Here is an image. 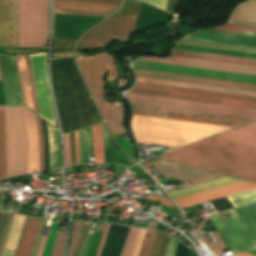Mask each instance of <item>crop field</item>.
<instances>
[{
	"label": "crop field",
	"mask_w": 256,
	"mask_h": 256,
	"mask_svg": "<svg viewBox=\"0 0 256 256\" xmlns=\"http://www.w3.org/2000/svg\"><path fill=\"white\" fill-rule=\"evenodd\" d=\"M159 157L256 182V148L207 138Z\"/></svg>",
	"instance_id": "1"
},
{
	"label": "crop field",
	"mask_w": 256,
	"mask_h": 256,
	"mask_svg": "<svg viewBox=\"0 0 256 256\" xmlns=\"http://www.w3.org/2000/svg\"><path fill=\"white\" fill-rule=\"evenodd\" d=\"M230 127L133 115L132 131L137 142L179 147Z\"/></svg>",
	"instance_id": "2"
},
{
	"label": "crop field",
	"mask_w": 256,
	"mask_h": 256,
	"mask_svg": "<svg viewBox=\"0 0 256 256\" xmlns=\"http://www.w3.org/2000/svg\"><path fill=\"white\" fill-rule=\"evenodd\" d=\"M76 59L112 136L127 132L122 126L125 112L121 103L108 104L102 97L105 87V81H102V77L108 70L107 82L119 76L113 57L101 53L94 57H76Z\"/></svg>",
	"instance_id": "3"
},
{
	"label": "crop field",
	"mask_w": 256,
	"mask_h": 256,
	"mask_svg": "<svg viewBox=\"0 0 256 256\" xmlns=\"http://www.w3.org/2000/svg\"><path fill=\"white\" fill-rule=\"evenodd\" d=\"M19 47L46 46L47 0H18Z\"/></svg>",
	"instance_id": "4"
},
{
	"label": "crop field",
	"mask_w": 256,
	"mask_h": 256,
	"mask_svg": "<svg viewBox=\"0 0 256 256\" xmlns=\"http://www.w3.org/2000/svg\"><path fill=\"white\" fill-rule=\"evenodd\" d=\"M130 93L186 99L193 101L247 107L256 110V99L245 96L136 83Z\"/></svg>",
	"instance_id": "5"
},
{
	"label": "crop field",
	"mask_w": 256,
	"mask_h": 256,
	"mask_svg": "<svg viewBox=\"0 0 256 256\" xmlns=\"http://www.w3.org/2000/svg\"><path fill=\"white\" fill-rule=\"evenodd\" d=\"M7 178L26 174L25 136L19 107H6Z\"/></svg>",
	"instance_id": "6"
},
{
	"label": "crop field",
	"mask_w": 256,
	"mask_h": 256,
	"mask_svg": "<svg viewBox=\"0 0 256 256\" xmlns=\"http://www.w3.org/2000/svg\"><path fill=\"white\" fill-rule=\"evenodd\" d=\"M127 96L129 97L130 101L135 104L237 116V117H242L250 120L256 119V111L246 109V108H241V107L185 101V100L130 94V93H127Z\"/></svg>",
	"instance_id": "7"
},
{
	"label": "crop field",
	"mask_w": 256,
	"mask_h": 256,
	"mask_svg": "<svg viewBox=\"0 0 256 256\" xmlns=\"http://www.w3.org/2000/svg\"><path fill=\"white\" fill-rule=\"evenodd\" d=\"M136 14L113 17L85 34L80 44L90 48H107L113 41L126 43L133 35Z\"/></svg>",
	"instance_id": "8"
},
{
	"label": "crop field",
	"mask_w": 256,
	"mask_h": 256,
	"mask_svg": "<svg viewBox=\"0 0 256 256\" xmlns=\"http://www.w3.org/2000/svg\"><path fill=\"white\" fill-rule=\"evenodd\" d=\"M132 105H133V112L134 114H137V115L153 116V117L184 120V121L207 123V124L230 126V127H235L237 125L250 121V120L237 118V117L213 115V114H206V113L182 111V110L135 105V104H132Z\"/></svg>",
	"instance_id": "9"
},
{
	"label": "crop field",
	"mask_w": 256,
	"mask_h": 256,
	"mask_svg": "<svg viewBox=\"0 0 256 256\" xmlns=\"http://www.w3.org/2000/svg\"><path fill=\"white\" fill-rule=\"evenodd\" d=\"M29 56L31 60L40 117L55 125L52 102L48 86L46 53Z\"/></svg>",
	"instance_id": "10"
},
{
	"label": "crop field",
	"mask_w": 256,
	"mask_h": 256,
	"mask_svg": "<svg viewBox=\"0 0 256 256\" xmlns=\"http://www.w3.org/2000/svg\"><path fill=\"white\" fill-rule=\"evenodd\" d=\"M0 46L18 47L17 0H0Z\"/></svg>",
	"instance_id": "11"
},
{
	"label": "crop field",
	"mask_w": 256,
	"mask_h": 256,
	"mask_svg": "<svg viewBox=\"0 0 256 256\" xmlns=\"http://www.w3.org/2000/svg\"><path fill=\"white\" fill-rule=\"evenodd\" d=\"M139 60L256 75V67L214 62V61H206V60H199V59L172 56L170 59L145 57Z\"/></svg>",
	"instance_id": "12"
},
{
	"label": "crop field",
	"mask_w": 256,
	"mask_h": 256,
	"mask_svg": "<svg viewBox=\"0 0 256 256\" xmlns=\"http://www.w3.org/2000/svg\"><path fill=\"white\" fill-rule=\"evenodd\" d=\"M256 188L255 183L243 181L224 187L212 189L209 191L193 194L190 196L174 199L175 203L179 206L180 209L193 206L196 204L204 203L242 191L250 190Z\"/></svg>",
	"instance_id": "13"
},
{
	"label": "crop field",
	"mask_w": 256,
	"mask_h": 256,
	"mask_svg": "<svg viewBox=\"0 0 256 256\" xmlns=\"http://www.w3.org/2000/svg\"><path fill=\"white\" fill-rule=\"evenodd\" d=\"M136 76L256 92V85L133 69Z\"/></svg>",
	"instance_id": "14"
},
{
	"label": "crop field",
	"mask_w": 256,
	"mask_h": 256,
	"mask_svg": "<svg viewBox=\"0 0 256 256\" xmlns=\"http://www.w3.org/2000/svg\"><path fill=\"white\" fill-rule=\"evenodd\" d=\"M151 165L168 180L165 182H170L168 179L170 177H172L174 181L179 180L180 182H186L192 179L216 174L163 159L155 161L151 163Z\"/></svg>",
	"instance_id": "15"
},
{
	"label": "crop field",
	"mask_w": 256,
	"mask_h": 256,
	"mask_svg": "<svg viewBox=\"0 0 256 256\" xmlns=\"http://www.w3.org/2000/svg\"><path fill=\"white\" fill-rule=\"evenodd\" d=\"M184 38L256 48V37L254 36L223 33L212 30H200Z\"/></svg>",
	"instance_id": "16"
},
{
	"label": "crop field",
	"mask_w": 256,
	"mask_h": 256,
	"mask_svg": "<svg viewBox=\"0 0 256 256\" xmlns=\"http://www.w3.org/2000/svg\"><path fill=\"white\" fill-rule=\"evenodd\" d=\"M21 110L26 135L27 174H29L30 163L39 161V136L34 114L22 107Z\"/></svg>",
	"instance_id": "17"
},
{
	"label": "crop field",
	"mask_w": 256,
	"mask_h": 256,
	"mask_svg": "<svg viewBox=\"0 0 256 256\" xmlns=\"http://www.w3.org/2000/svg\"><path fill=\"white\" fill-rule=\"evenodd\" d=\"M41 221L40 219L26 218L15 256H31Z\"/></svg>",
	"instance_id": "18"
},
{
	"label": "crop field",
	"mask_w": 256,
	"mask_h": 256,
	"mask_svg": "<svg viewBox=\"0 0 256 256\" xmlns=\"http://www.w3.org/2000/svg\"><path fill=\"white\" fill-rule=\"evenodd\" d=\"M213 137L256 147V121L239 126Z\"/></svg>",
	"instance_id": "19"
},
{
	"label": "crop field",
	"mask_w": 256,
	"mask_h": 256,
	"mask_svg": "<svg viewBox=\"0 0 256 256\" xmlns=\"http://www.w3.org/2000/svg\"><path fill=\"white\" fill-rule=\"evenodd\" d=\"M128 228L111 225L101 256H120Z\"/></svg>",
	"instance_id": "20"
},
{
	"label": "crop field",
	"mask_w": 256,
	"mask_h": 256,
	"mask_svg": "<svg viewBox=\"0 0 256 256\" xmlns=\"http://www.w3.org/2000/svg\"><path fill=\"white\" fill-rule=\"evenodd\" d=\"M137 82L256 97V93L248 92V91L232 90V89L163 81V80H156V79L137 77Z\"/></svg>",
	"instance_id": "21"
},
{
	"label": "crop field",
	"mask_w": 256,
	"mask_h": 256,
	"mask_svg": "<svg viewBox=\"0 0 256 256\" xmlns=\"http://www.w3.org/2000/svg\"><path fill=\"white\" fill-rule=\"evenodd\" d=\"M54 9L112 13L118 5L53 0Z\"/></svg>",
	"instance_id": "22"
},
{
	"label": "crop field",
	"mask_w": 256,
	"mask_h": 256,
	"mask_svg": "<svg viewBox=\"0 0 256 256\" xmlns=\"http://www.w3.org/2000/svg\"><path fill=\"white\" fill-rule=\"evenodd\" d=\"M239 181H243V180H239V179H236L233 177L226 176V177H222V178H219L216 180L205 182V183H202L199 185H195V186H192L189 188L179 189V190H175L172 192H168V194L172 197V199H174V198L190 195L193 193L205 191L208 189L224 186V185L239 182Z\"/></svg>",
	"instance_id": "23"
},
{
	"label": "crop field",
	"mask_w": 256,
	"mask_h": 256,
	"mask_svg": "<svg viewBox=\"0 0 256 256\" xmlns=\"http://www.w3.org/2000/svg\"><path fill=\"white\" fill-rule=\"evenodd\" d=\"M172 55L256 66V60L172 49Z\"/></svg>",
	"instance_id": "24"
},
{
	"label": "crop field",
	"mask_w": 256,
	"mask_h": 256,
	"mask_svg": "<svg viewBox=\"0 0 256 256\" xmlns=\"http://www.w3.org/2000/svg\"><path fill=\"white\" fill-rule=\"evenodd\" d=\"M48 154H49V170L60 168L61 151L57 129L48 125Z\"/></svg>",
	"instance_id": "25"
},
{
	"label": "crop field",
	"mask_w": 256,
	"mask_h": 256,
	"mask_svg": "<svg viewBox=\"0 0 256 256\" xmlns=\"http://www.w3.org/2000/svg\"><path fill=\"white\" fill-rule=\"evenodd\" d=\"M102 126L104 137L105 163H117L125 166L129 165L131 161L127 159L125 155L113 145L103 123Z\"/></svg>",
	"instance_id": "26"
},
{
	"label": "crop field",
	"mask_w": 256,
	"mask_h": 256,
	"mask_svg": "<svg viewBox=\"0 0 256 256\" xmlns=\"http://www.w3.org/2000/svg\"><path fill=\"white\" fill-rule=\"evenodd\" d=\"M16 62H17L18 73H19V78H20V83H21V88L23 93L24 104L25 106L33 110V104H32V98H31V92H30V86L28 81L24 55H16Z\"/></svg>",
	"instance_id": "27"
},
{
	"label": "crop field",
	"mask_w": 256,
	"mask_h": 256,
	"mask_svg": "<svg viewBox=\"0 0 256 256\" xmlns=\"http://www.w3.org/2000/svg\"><path fill=\"white\" fill-rule=\"evenodd\" d=\"M0 179H6L5 107H0Z\"/></svg>",
	"instance_id": "28"
},
{
	"label": "crop field",
	"mask_w": 256,
	"mask_h": 256,
	"mask_svg": "<svg viewBox=\"0 0 256 256\" xmlns=\"http://www.w3.org/2000/svg\"><path fill=\"white\" fill-rule=\"evenodd\" d=\"M92 134L94 161L95 163H104L102 127L100 124L92 127Z\"/></svg>",
	"instance_id": "29"
},
{
	"label": "crop field",
	"mask_w": 256,
	"mask_h": 256,
	"mask_svg": "<svg viewBox=\"0 0 256 256\" xmlns=\"http://www.w3.org/2000/svg\"><path fill=\"white\" fill-rule=\"evenodd\" d=\"M170 236L155 232L148 256H165Z\"/></svg>",
	"instance_id": "30"
},
{
	"label": "crop field",
	"mask_w": 256,
	"mask_h": 256,
	"mask_svg": "<svg viewBox=\"0 0 256 256\" xmlns=\"http://www.w3.org/2000/svg\"><path fill=\"white\" fill-rule=\"evenodd\" d=\"M212 30H221V31H225V32L256 36V27L245 26V25L225 23L224 25H222L220 27L212 28Z\"/></svg>",
	"instance_id": "31"
},
{
	"label": "crop field",
	"mask_w": 256,
	"mask_h": 256,
	"mask_svg": "<svg viewBox=\"0 0 256 256\" xmlns=\"http://www.w3.org/2000/svg\"><path fill=\"white\" fill-rule=\"evenodd\" d=\"M231 203L236 206L248 204L256 201V189L228 196Z\"/></svg>",
	"instance_id": "32"
},
{
	"label": "crop field",
	"mask_w": 256,
	"mask_h": 256,
	"mask_svg": "<svg viewBox=\"0 0 256 256\" xmlns=\"http://www.w3.org/2000/svg\"><path fill=\"white\" fill-rule=\"evenodd\" d=\"M81 135H82L83 159H84V164H86L87 163L86 157H93L91 127L82 129Z\"/></svg>",
	"instance_id": "33"
},
{
	"label": "crop field",
	"mask_w": 256,
	"mask_h": 256,
	"mask_svg": "<svg viewBox=\"0 0 256 256\" xmlns=\"http://www.w3.org/2000/svg\"><path fill=\"white\" fill-rule=\"evenodd\" d=\"M174 48L175 49H183V50H191V51H199V52H207V53H215V54H222V55H230V56H238V57H246V58L256 59V55H249V54L233 53V52L218 51V50L203 49V48H195V47L180 46V45H176Z\"/></svg>",
	"instance_id": "34"
},
{
	"label": "crop field",
	"mask_w": 256,
	"mask_h": 256,
	"mask_svg": "<svg viewBox=\"0 0 256 256\" xmlns=\"http://www.w3.org/2000/svg\"><path fill=\"white\" fill-rule=\"evenodd\" d=\"M137 228L130 227L121 256H130L138 233Z\"/></svg>",
	"instance_id": "35"
},
{
	"label": "crop field",
	"mask_w": 256,
	"mask_h": 256,
	"mask_svg": "<svg viewBox=\"0 0 256 256\" xmlns=\"http://www.w3.org/2000/svg\"><path fill=\"white\" fill-rule=\"evenodd\" d=\"M67 231L59 230L51 256H62L65 246Z\"/></svg>",
	"instance_id": "36"
},
{
	"label": "crop field",
	"mask_w": 256,
	"mask_h": 256,
	"mask_svg": "<svg viewBox=\"0 0 256 256\" xmlns=\"http://www.w3.org/2000/svg\"><path fill=\"white\" fill-rule=\"evenodd\" d=\"M59 223L60 222H53L52 223L51 230H50V233H49V236H48V239H47V242H46V246H45V249H44V252H43L42 256H50L51 249H52V246H53V243H54V240H55V236H56V233H57V230H58Z\"/></svg>",
	"instance_id": "37"
},
{
	"label": "crop field",
	"mask_w": 256,
	"mask_h": 256,
	"mask_svg": "<svg viewBox=\"0 0 256 256\" xmlns=\"http://www.w3.org/2000/svg\"><path fill=\"white\" fill-rule=\"evenodd\" d=\"M75 41L76 40L72 39L55 38L53 51L72 50L70 46L73 45Z\"/></svg>",
	"instance_id": "38"
},
{
	"label": "crop field",
	"mask_w": 256,
	"mask_h": 256,
	"mask_svg": "<svg viewBox=\"0 0 256 256\" xmlns=\"http://www.w3.org/2000/svg\"><path fill=\"white\" fill-rule=\"evenodd\" d=\"M154 232L155 231H151V230L146 231L139 256H147Z\"/></svg>",
	"instance_id": "39"
},
{
	"label": "crop field",
	"mask_w": 256,
	"mask_h": 256,
	"mask_svg": "<svg viewBox=\"0 0 256 256\" xmlns=\"http://www.w3.org/2000/svg\"><path fill=\"white\" fill-rule=\"evenodd\" d=\"M80 222H73V228H72V234H71V240H70V244H69V248H68V252H67V256H71L80 227H81Z\"/></svg>",
	"instance_id": "40"
},
{
	"label": "crop field",
	"mask_w": 256,
	"mask_h": 256,
	"mask_svg": "<svg viewBox=\"0 0 256 256\" xmlns=\"http://www.w3.org/2000/svg\"><path fill=\"white\" fill-rule=\"evenodd\" d=\"M36 117V122L38 126L39 136H40V171L44 170V154H43V134L41 128L40 118Z\"/></svg>",
	"instance_id": "41"
},
{
	"label": "crop field",
	"mask_w": 256,
	"mask_h": 256,
	"mask_svg": "<svg viewBox=\"0 0 256 256\" xmlns=\"http://www.w3.org/2000/svg\"><path fill=\"white\" fill-rule=\"evenodd\" d=\"M46 52L45 49H20V48H5V53L13 54H29V53H38Z\"/></svg>",
	"instance_id": "42"
},
{
	"label": "crop field",
	"mask_w": 256,
	"mask_h": 256,
	"mask_svg": "<svg viewBox=\"0 0 256 256\" xmlns=\"http://www.w3.org/2000/svg\"><path fill=\"white\" fill-rule=\"evenodd\" d=\"M25 57H26V63H27L29 81H30V86H31V92H32V98H33L34 110H35V113L38 114L37 102H36V97H35V91H34V85H33V80H32V74H31V69H30V63H29V57H28V55H25ZM38 115H39V114H38Z\"/></svg>",
	"instance_id": "43"
},
{
	"label": "crop field",
	"mask_w": 256,
	"mask_h": 256,
	"mask_svg": "<svg viewBox=\"0 0 256 256\" xmlns=\"http://www.w3.org/2000/svg\"><path fill=\"white\" fill-rule=\"evenodd\" d=\"M54 13L107 17L109 14L54 10Z\"/></svg>",
	"instance_id": "44"
},
{
	"label": "crop field",
	"mask_w": 256,
	"mask_h": 256,
	"mask_svg": "<svg viewBox=\"0 0 256 256\" xmlns=\"http://www.w3.org/2000/svg\"><path fill=\"white\" fill-rule=\"evenodd\" d=\"M13 215L14 214H12V213L9 214V218H8L6 228H5V231H4V234H3V238H2V241H1V244H0V256L2 254V250H3L4 244H5L6 238H7V234H8L11 222H12Z\"/></svg>",
	"instance_id": "45"
},
{
	"label": "crop field",
	"mask_w": 256,
	"mask_h": 256,
	"mask_svg": "<svg viewBox=\"0 0 256 256\" xmlns=\"http://www.w3.org/2000/svg\"><path fill=\"white\" fill-rule=\"evenodd\" d=\"M66 151V166L71 165L69 134L64 136Z\"/></svg>",
	"instance_id": "46"
},
{
	"label": "crop field",
	"mask_w": 256,
	"mask_h": 256,
	"mask_svg": "<svg viewBox=\"0 0 256 256\" xmlns=\"http://www.w3.org/2000/svg\"><path fill=\"white\" fill-rule=\"evenodd\" d=\"M199 235L204 239V241L209 245V247L211 248V250L217 255V256H222L221 254V250L218 248V246L216 245V243H209L206 238L201 234L200 231L196 230Z\"/></svg>",
	"instance_id": "47"
},
{
	"label": "crop field",
	"mask_w": 256,
	"mask_h": 256,
	"mask_svg": "<svg viewBox=\"0 0 256 256\" xmlns=\"http://www.w3.org/2000/svg\"><path fill=\"white\" fill-rule=\"evenodd\" d=\"M109 226L110 225H108V224L105 225V228H104V231H103V234H102V238H101V241H100V244H99L96 256H100V254H101V251H102V248H103V245H104V242H105V238H106Z\"/></svg>",
	"instance_id": "48"
},
{
	"label": "crop field",
	"mask_w": 256,
	"mask_h": 256,
	"mask_svg": "<svg viewBox=\"0 0 256 256\" xmlns=\"http://www.w3.org/2000/svg\"><path fill=\"white\" fill-rule=\"evenodd\" d=\"M143 1L153 4V5L160 7L164 10L166 8V3H167V0H143Z\"/></svg>",
	"instance_id": "49"
},
{
	"label": "crop field",
	"mask_w": 256,
	"mask_h": 256,
	"mask_svg": "<svg viewBox=\"0 0 256 256\" xmlns=\"http://www.w3.org/2000/svg\"><path fill=\"white\" fill-rule=\"evenodd\" d=\"M222 176H225V175L216 174V175H212V176L192 180V183L197 184V183H201V182L208 181V180H211V179L219 178V177H222ZM193 184H191V185H193ZM187 186H190V185H187ZM184 187H186V186H184Z\"/></svg>",
	"instance_id": "50"
},
{
	"label": "crop field",
	"mask_w": 256,
	"mask_h": 256,
	"mask_svg": "<svg viewBox=\"0 0 256 256\" xmlns=\"http://www.w3.org/2000/svg\"><path fill=\"white\" fill-rule=\"evenodd\" d=\"M73 1H86V2H99V3H113L119 4L120 0H73Z\"/></svg>",
	"instance_id": "51"
},
{
	"label": "crop field",
	"mask_w": 256,
	"mask_h": 256,
	"mask_svg": "<svg viewBox=\"0 0 256 256\" xmlns=\"http://www.w3.org/2000/svg\"><path fill=\"white\" fill-rule=\"evenodd\" d=\"M76 165L79 164L77 131L74 132Z\"/></svg>",
	"instance_id": "52"
},
{
	"label": "crop field",
	"mask_w": 256,
	"mask_h": 256,
	"mask_svg": "<svg viewBox=\"0 0 256 256\" xmlns=\"http://www.w3.org/2000/svg\"><path fill=\"white\" fill-rule=\"evenodd\" d=\"M46 239H47V238H44V237L41 238V242H40V245H39L38 252H37V255H36V256H41V255H42V252H43V249H44V246H45Z\"/></svg>",
	"instance_id": "53"
},
{
	"label": "crop field",
	"mask_w": 256,
	"mask_h": 256,
	"mask_svg": "<svg viewBox=\"0 0 256 256\" xmlns=\"http://www.w3.org/2000/svg\"><path fill=\"white\" fill-rule=\"evenodd\" d=\"M93 232L94 231L90 232V235H89V238H88V241H87V244H86L83 256H86V254H87V251H88V248H89V245H90V242H91V238H92Z\"/></svg>",
	"instance_id": "54"
},
{
	"label": "crop field",
	"mask_w": 256,
	"mask_h": 256,
	"mask_svg": "<svg viewBox=\"0 0 256 256\" xmlns=\"http://www.w3.org/2000/svg\"><path fill=\"white\" fill-rule=\"evenodd\" d=\"M162 199H163V203H162L163 205L174 207L167 197H162Z\"/></svg>",
	"instance_id": "55"
},
{
	"label": "crop field",
	"mask_w": 256,
	"mask_h": 256,
	"mask_svg": "<svg viewBox=\"0 0 256 256\" xmlns=\"http://www.w3.org/2000/svg\"><path fill=\"white\" fill-rule=\"evenodd\" d=\"M214 233L217 235V237L219 238V242H217L219 244V246L221 247V249H225L226 246L224 245V243L222 242V240L220 239V237L218 236V234L216 233V231H214Z\"/></svg>",
	"instance_id": "56"
},
{
	"label": "crop field",
	"mask_w": 256,
	"mask_h": 256,
	"mask_svg": "<svg viewBox=\"0 0 256 256\" xmlns=\"http://www.w3.org/2000/svg\"><path fill=\"white\" fill-rule=\"evenodd\" d=\"M245 253L250 254V255H252V256H256V249L251 250V251H247V252H245Z\"/></svg>",
	"instance_id": "57"
},
{
	"label": "crop field",
	"mask_w": 256,
	"mask_h": 256,
	"mask_svg": "<svg viewBox=\"0 0 256 256\" xmlns=\"http://www.w3.org/2000/svg\"><path fill=\"white\" fill-rule=\"evenodd\" d=\"M148 200H158V201H160V197L148 196Z\"/></svg>",
	"instance_id": "58"
},
{
	"label": "crop field",
	"mask_w": 256,
	"mask_h": 256,
	"mask_svg": "<svg viewBox=\"0 0 256 256\" xmlns=\"http://www.w3.org/2000/svg\"><path fill=\"white\" fill-rule=\"evenodd\" d=\"M157 224H158V222H154L153 223V225H150V227L149 228H151V229H155L156 230V228H157Z\"/></svg>",
	"instance_id": "59"
},
{
	"label": "crop field",
	"mask_w": 256,
	"mask_h": 256,
	"mask_svg": "<svg viewBox=\"0 0 256 256\" xmlns=\"http://www.w3.org/2000/svg\"><path fill=\"white\" fill-rule=\"evenodd\" d=\"M234 256H250V255H247L245 253H242V254H238V255H234Z\"/></svg>",
	"instance_id": "60"
},
{
	"label": "crop field",
	"mask_w": 256,
	"mask_h": 256,
	"mask_svg": "<svg viewBox=\"0 0 256 256\" xmlns=\"http://www.w3.org/2000/svg\"><path fill=\"white\" fill-rule=\"evenodd\" d=\"M0 80H1V75H0ZM2 81V80H1Z\"/></svg>",
	"instance_id": "61"
}]
</instances>
